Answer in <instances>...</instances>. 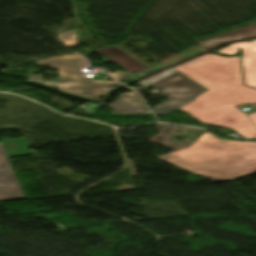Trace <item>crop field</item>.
I'll list each match as a JSON object with an SVG mask.
<instances>
[{"label":"crop field","mask_w":256,"mask_h":256,"mask_svg":"<svg viewBox=\"0 0 256 256\" xmlns=\"http://www.w3.org/2000/svg\"><path fill=\"white\" fill-rule=\"evenodd\" d=\"M174 69L208 89L180 110L202 123L231 128L247 139L256 138V113L246 115L234 107L256 103V90L243 86L240 56L206 54Z\"/></svg>","instance_id":"crop-field-1"},{"label":"crop field","mask_w":256,"mask_h":256,"mask_svg":"<svg viewBox=\"0 0 256 256\" xmlns=\"http://www.w3.org/2000/svg\"><path fill=\"white\" fill-rule=\"evenodd\" d=\"M157 158L215 182L227 181L256 172V142L226 141L205 132L190 147Z\"/></svg>","instance_id":"crop-field-2"},{"label":"crop field","mask_w":256,"mask_h":256,"mask_svg":"<svg viewBox=\"0 0 256 256\" xmlns=\"http://www.w3.org/2000/svg\"><path fill=\"white\" fill-rule=\"evenodd\" d=\"M39 63L53 65L52 68L59 69L61 80L59 82H50L41 80L42 76H32L30 81L55 85L59 90L70 94L91 99H101L106 93L119 84L114 80H112V82L93 81V78L81 77L80 56L61 57Z\"/></svg>","instance_id":"crop-field-3"},{"label":"crop field","mask_w":256,"mask_h":256,"mask_svg":"<svg viewBox=\"0 0 256 256\" xmlns=\"http://www.w3.org/2000/svg\"><path fill=\"white\" fill-rule=\"evenodd\" d=\"M155 76L140 83L155 89L152 93L171 100L152 109L153 113L157 115H166L205 91V88L195 84L173 68Z\"/></svg>","instance_id":"crop-field-4"},{"label":"crop field","mask_w":256,"mask_h":256,"mask_svg":"<svg viewBox=\"0 0 256 256\" xmlns=\"http://www.w3.org/2000/svg\"><path fill=\"white\" fill-rule=\"evenodd\" d=\"M243 49V69L245 85L256 88V39L250 42L234 43L229 47L219 50V53L234 55L238 48Z\"/></svg>","instance_id":"crop-field-5"},{"label":"crop field","mask_w":256,"mask_h":256,"mask_svg":"<svg viewBox=\"0 0 256 256\" xmlns=\"http://www.w3.org/2000/svg\"><path fill=\"white\" fill-rule=\"evenodd\" d=\"M100 54L107 57L117 65L127 70L130 74H135L146 67L140 64L138 61L122 52L115 46H111L105 49L97 50Z\"/></svg>","instance_id":"crop-field-6"},{"label":"crop field","mask_w":256,"mask_h":256,"mask_svg":"<svg viewBox=\"0 0 256 256\" xmlns=\"http://www.w3.org/2000/svg\"><path fill=\"white\" fill-rule=\"evenodd\" d=\"M25 199L13 172H0V201Z\"/></svg>","instance_id":"crop-field-7"},{"label":"crop field","mask_w":256,"mask_h":256,"mask_svg":"<svg viewBox=\"0 0 256 256\" xmlns=\"http://www.w3.org/2000/svg\"><path fill=\"white\" fill-rule=\"evenodd\" d=\"M108 107L112 111L120 113H150L149 109L143 108L132 93L119 96L118 100Z\"/></svg>","instance_id":"crop-field-8"},{"label":"crop field","mask_w":256,"mask_h":256,"mask_svg":"<svg viewBox=\"0 0 256 256\" xmlns=\"http://www.w3.org/2000/svg\"><path fill=\"white\" fill-rule=\"evenodd\" d=\"M254 35H256V25L200 43V45H202L205 48H209L222 41L234 40V39H239V38H244V37H249Z\"/></svg>","instance_id":"crop-field-9"},{"label":"crop field","mask_w":256,"mask_h":256,"mask_svg":"<svg viewBox=\"0 0 256 256\" xmlns=\"http://www.w3.org/2000/svg\"><path fill=\"white\" fill-rule=\"evenodd\" d=\"M2 143L8 156L35 153L34 150L26 149L30 146L26 138L5 140Z\"/></svg>","instance_id":"crop-field-10"},{"label":"crop field","mask_w":256,"mask_h":256,"mask_svg":"<svg viewBox=\"0 0 256 256\" xmlns=\"http://www.w3.org/2000/svg\"><path fill=\"white\" fill-rule=\"evenodd\" d=\"M0 171H13L2 143H0Z\"/></svg>","instance_id":"crop-field-11"},{"label":"crop field","mask_w":256,"mask_h":256,"mask_svg":"<svg viewBox=\"0 0 256 256\" xmlns=\"http://www.w3.org/2000/svg\"><path fill=\"white\" fill-rule=\"evenodd\" d=\"M60 39L64 42L66 47H72L76 44H78V41L76 39L75 31H71L69 33L59 35Z\"/></svg>","instance_id":"crop-field-12"},{"label":"crop field","mask_w":256,"mask_h":256,"mask_svg":"<svg viewBox=\"0 0 256 256\" xmlns=\"http://www.w3.org/2000/svg\"><path fill=\"white\" fill-rule=\"evenodd\" d=\"M111 77L115 78L116 80L120 81V79L126 75V73L114 72L110 73Z\"/></svg>","instance_id":"crop-field-13"}]
</instances>
